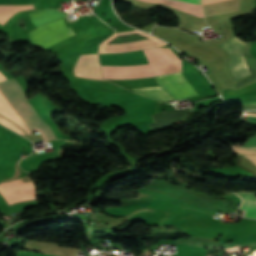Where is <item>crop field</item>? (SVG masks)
I'll return each instance as SVG.
<instances>
[{"instance_id":"obj_1","label":"crop field","mask_w":256,"mask_h":256,"mask_svg":"<svg viewBox=\"0 0 256 256\" xmlns=\"http://www.w3.org/2000/svg\"><path fill=\"white\" fill-rule=\"evenodd\" d=\"M149 63L129 67L101 66L104 79H129L181 73V60L170 48L143 50ZM157 83L176 99L196 96L182 74L156 77Z\"/></svg>"},{"instance_id":"obj_2","label":"crop field","mask_w":256,"mask_h":256,"mask_svg":"<svg viewBox=\"0 0 256 256\" xmlns=\"http://www.w3.org/2000/svg\"><path fill=\"white\" fill-rule=\"evenodd\" d=\"M0 89L8 98V100L12 103L18 113L22 116L25 122L29 125L33 132L39 131L44 141L56 138L52 133L50 127L39 117L34 108L25 99L21 87L17 84L15 79L12 78L7 81L0 82ZM14 127L17 128L16 126ZM19 130L22 131L21 129ZM22 132L27 134L24 131Z\"/></svg>"},{"instance_id":"obj_3","label":"crop field","mask_w":256,"mask_h":256,"mask_svg":"<svg viewBox=\"0 0 256 256\" xmlns=\"http://www.w3.org/2000/svg\"><path fill=\"white\" fill-rule=\"evenodd\" d=\"M69 29H71V27L66 28L63 19L49 23V24L39 27L29 33L31 43L34 45H37L47 39H50L58 34L65 32ZM73 35H75V32L73 31V29H71V30H69L61 35H58L50 40H47L37 46H41L43 49H45L53 44H56L64 39H67Z\"/></svg>"},{"instance_id":"obj_4","label":"crop field","mask_w":256,"mask_h":256,"mask_svg":"<svg viewBox=\"0 0 256 256\" xmlns=\"http://www.w3.org/2000/svg\"><path fill=\"white\" fill-rule=\"evenodd\" d=\"M245 44L246 42H243L236 37L220 44V46L230 54V69L235 79L250 73L243 56V48Z\"/></svg>"},{"instance_id":"obj_5","label":"crop field","mask_w":256,"mask_h":256,"mask_svg":"<svg viewBox=\"0 0 256 256\" xmlns=\"http://www.w3.org/2000/svg\"><path fill=\"white\" fill-rule=\"evenodd\" d=\"M152 3H163L187 13L203 17L200 0H143Z\"/></svg>"},{"instance_id":"obj_6","label":"crop field","mask_w":256,"mask_h":256,"mask_svg":"<svg viewBox=\"0 0 256 256\" xmlns=\"http://www.w3.org/2000/svg\"><path fill=\"white\" fill-rule=\"evenodd\" d=\"M66 16L65 14L58 12L56 10L48 9V10H41L35 13L29 14L30 20L33 24L39 26L48 22H51L55 19L60 17Z\"/></svg>"},{"instance_id":"obj_7","label":"crop field","mask_w":256,"mask_h":256,"mask_svg":"<svg viewBox=\"0 0 256 256\" xmlns=\"http://www.w3.org/2000/svg\"><path fill=\"white\" fill-rule=\"evenodd\" d=\"M236 194L242 197V205L239 210L244 209L246 217L256 218V193L237 192Z\"/></svg>"},{"instance_id":"obj_8","label":"crop field","mask_w":256,"mask_h":256,"mask_svg":"<svg viewBox=\"0 0 256 256\" xmlns=\"http://www.w3.org/2000/svg\"><path fill=\"white\" fill-rule=\"evenodd\" d=\"M134 91L142 94L153 97L159 101H168L174 98L170 97L167 93H165L160 87H152V88H138L133 89Z\"/></svg>"},{"instance_id":"obj_9","label":"crop field","mask_w":256,"mask_h":256,"mask_svg":"<svg viewBox=\"0 0 256 256\" xmlns=\"http://www.w3.org/2000/svg\"><path fill=\"white\" fill-rule=\"evenodd\" d=\"M32 8H34L32 4L0 7V22L4 24L12 14L19 12L21 10L32 9Z\"/></svg>"},{"instance_id":"obj_10","label":"crop field","mask_w":256,"mask_h":256,"mask_svg":"<svg viewBox=\"0 0 256 256\" xmlns=\"http://www.w3.org/2000/svg\"><path fill=\"white\" fill-rule=\"evenodd\" d=\"M15 256H49V255H43V254H41V253L17 251V253H16Z\"/></svg>"},{"instance_id":"obj_11","label":"crop field","mask_w":256,"mask_h":256,"mask_svg":"<svg viewBox=\"0 0 256 256\" xmlns=\"http://www.w3.org/2000/svg\"><path fill=\"white\" fill-rule=\"evenodd\" d=\"M254 146H256V138L249 139L241 147H254Z\"/></svg>"},{"instance_id":"obj_12","label":"crop field","mask_w":256,"mask_h":256,"mask_svg":"<svg viewBox=\"0 0 256 256\" xmlns=\"http://www.w3.org/2000/svg\"><path fill=\"white\" fill-rule=\"evenodd\" d=\"M246 117V119L248 120V121H254V122H256V117H249V116H245Z\"/></svg>"},{"instance_id":"obj_13","label":"crop field","mask_w":256,"mask_h":256,"mask_svg":"<svg viewBox=\"0 0 256 256\" xmlns=\"http://www.w3.org/2000/svg\"><path fill=\"white\" fill-rule=\"evenodd\" d=\"M254 155H256V154H254ZM246 156H251V155H246Z\"/></svg>"}]
</instances>
